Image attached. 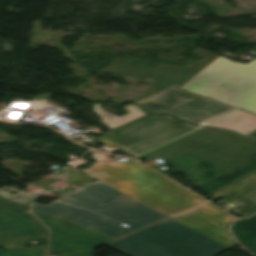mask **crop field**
Segmentation results:
<instances>
[{
  "label": "crop field",
  "instance_id": "obj_17",
  "mask_svg": "<svg viewBox=\"0 0 256 256\" xmlns=\"http://www.w3.org/2000/svg\"><path fill=\"white\" fill-rule=\"evenodd\" d=\"M93 250L90 252L68 254V255H56V256H92Z\"/></svg>",
  "mask_w": 256,
  "mask_h": 256
},
{
  "label": "crop field",
  "instance_id": "obj_2",
  "mask_svg": "<svg viewBox=\"0 0 256 256\" xmlns=\"http://www.w3.org/2000/svg\"><path fill=\"white\" fill-rule=\"evenodd\" d=\"M137 157L166 160L207 193L256 170V143L239 134L202 127Z\"/></svg>",
  "mask_w": 256,
  "mask_h": 256
},
{
  "label": "crop field",
  "instance_id": "obj_11",
  "mask_svg": "<svg viewBox=\"0 0 256 256\" xmlns=\"http://www.w3.org/2000/svg\"><path fill=\"white\" fill-rule=\"evenodd\" d=\"M223 198L228 202L238 205L229 212L239 216L240 218L249 216L256 212V182L251 183Z\"/></svg>",
  "mask_w": 256,
  "mask_h": 256
},
{
  "label": "crop field",
  "instance_id": "obj_20",
  "mask_svg": "<svg viewBox=\"0 0 256 256\" xmlns=\"http://www.w3.org/2000/svg\"><path fill=\"white\" fill-rule=\"evenodd\" d=\"M255 59H256V56H255Z\"/></svg>",
  "mask_w": 256,
  "mask_h": 256
},
{
  "label": "crop field",
  "instance_id": "obj_19",
  "mask_svg": "<svg viewBox=\"0 0 256 256\" xmlns=\"http://www.w3.org/2000/svg\"><path fill=\"white\" fill-rule=\"evenodd\" d=\"M205 202H206V201H205ZM205 202H204V203H205ZM197 207H199V206H197ZM195 208H196V207H195Z\"/></svg>",
  "mask_w": 256,
  "mask_h": 256
},
{
  "label": "crop field",
  "instance_id": "obj_1",
  "mask_svg": "<svg viewBox=\"0 0 256 256\" xmlns=\"http://www.w3.org/2000/svg\"><path fill=\"white\" fill-rule=\"evenodd\" d=\"M92 157L97 161L83 172L169 217L204 201L136 161L116 163L95 151ZM173 219L228 248L237 244L228 232L232 217L207 202Z\"/></svg>",
  "mask_w": 256,
  "mask_h": 256
},
{
  "label": "crop field",
  "instance_id": "obj_10",
  "mask_svg": "<svg viewBox=\"0 0 256 256\" xmlns=\"http://www.w3.org/2000/svg\"><path fill=\"white\" fill-rule=\"evenodd\" d=\"M46 233L23 206L0 198V240Z\"/></svg>",
  "mask_w": 256,
  "mask_h": 256
},
{
  "label": "crop field",
  "instance_id": "obj_14",
  "mask_svg": "<svg viewBox=\"0 0 256 256\" xmlns=\"http://www.w3.org/2000/svg\"><path fill=\"white\" fill-rule=\"evenodd\" d=\"M0 256H46V246L0 250Z\"/></svg>",
  "mask_w": 256,
  "mask_h": 256
},
{
  "label": "crop field",
  "instance_id": "obj_5",
  "mask_svg": "<svg viewBox=\"0 0 256 256\" xmlns=\"http://www.w3.org/2000/svg\"><path fill=\"white\" fill-rule=\"evenodd\" d=\"M134 104L147 113H171L193 124L230 129L241 134L256 127V116L173 87H166Z\"/></svg>",
  "mask_w": 256,
  "mask_h": 256
},
{
  "label": "crop field",
  "instance_id": "obj_7",
  "mask_svg": "<svg viewBox=\"0 0 256 256\" xmlns=\"http://www.w3.org/2000/svg\"><path fill=\"white\" fill-rule=\"evenodd\" d=\"M57 200L97 212L119 224L124 222L132 232L168 218L100 182L84 186Z\"/></svg>",
  "mask_w": 256,
  "mask_h": 256
},
{
  "label": "crop field",
  "instance_id": "obj_18",
  "mask_svg": "<svg viewBox=\"0 0 256 256\" xmlns=\"http://www.w3.org/2000/svg\"><path fill=\"white\" fill-rule=\"evenodd\" d=\"M244 135L249 137V138H251V139L256 140V129H254V130H252V131H250V132H248V133H246Z\"/></svg>",
  "mask_w": 256,
  "mask_h": 256
},
{
  "label": "crop field",
  "instance_id": "obj_8",
  "mask_svg": "<svg viewBox=\"0 0 256 256\" xmlns=\"http://www.w3.org/2000/svg\"><path fill=\"white\" fill-rule=\"evenodd\" d=\"M31 212L51 230L49 254L88 250L111 240L75 223Z\"/></svg>",
  "mask_w": 256,
  "mask_h": 256
},
{
  "label": "crop field",
  "instance_id": "obj_15",
  "mask_svg": "<svg viewBox=\"0 0 256 256\" xmlns=\"http://www.w3.org/2000/svg\"><path fill=\"white\" fill-rule=\"evenodd\" d=\"M3 193H6L5 195ZM39 195L33 194V193H29V192H25V191H20L18 193H16L15 195H10L9 192L0 190V197L14 201L16 203L19 204H25L27 202H30L32 200H34L36 197H38Z\"/></svg>",
  "mask_w": 256,
  "mask_h": 256
},
{
  "label": "crop field",
  "instance_id": "obj_12",
  "mask_svg": "<svg viewBox=\"0 0 256 256\" xmlns=\"http://www.w3.org/2000/svg\"><path fill=\"white\" fill-rule=\"evenodd\" d=\"M231 231L243 247L256 254V215L231 226Z\"/></svg>",
  "mask_w": 256,
  "mask_h": 256
},
{
  "label": "crop field",
  "instance_id": "obj_6",
  "mask_svg": "<svg viewBox=\"0 0 256 256\" xmlns=\"http://www.w3.org/2000/svg\"><path fill=\"white\" fill-rule=\"evenodd\" d=\"M190 229L169 218L107 245L129 256H216L228 249Z\"/></svg>",
  "mask_w": 256,
  "mask_h": 256
},
{
  "label": "crop field",
  "instance_id": "obj_9",
  "mask_svg": "<svg viewBox=\"0 0 256 256\" xmlns=\"http://www.w3.org/2000/svg\"><path fill=\"white\" fill-rule=\"evenodd\" d=\"M31 210L75 222L113 240L128 233L123 227L87 210L52 201L48 206L34 202Z\"/></svg>",
  "mask_w": 256,
  "mask_h": 256
},
{
  "label": "crop field",
  "instance_id": "obj_4",
  "mask_svg": "<svg viewBox=\"0 0 256 256\" xmlns=\"http://www.w3.org/2000/svg\"><path fill=\"white\" fill-rule=\"evenodd\" d=\"M95 113L101 118L102 124L109 132L98 138L100 144L122 148L138 154L158 146L198 126L183 122L171 115H149L143 113L138 106L129 104L124 108L129 114L118 117L93 104Z\"/></svg>",
  "mask_w": 256,
  "mask_h": 256
},
{
  "label": "crop field",
  "instance_id": "obj_16",
  "mask_svg": "<svg viewBox=\"0 0 256 256\" xmlns=\"http://www.w3.org/2000/svg\"><path fill=\"white\" fill-rule=\"evenodd\" d=\"M43 237H46V234L38 235V236L17 238V239L4 240V241H0V247H4L5 249L26 247L23 240L43 238Z\"/></svg>",
  "mask_w": 256,
  "mask_h": 256
},
{
  "label": "crop field",
  "instance_id": "obj_3",
  "mask_svg": "<svg viewBox=\"0 0 256 256\" xmlns=\"http://www.w3.org/2000/svg\"><path fill=\"white\" fill-rule=\"evenodd\" d=\"M191 52L203 59L187 66L160 64L147 69L115 59L99 72L118 76L155 77L158 81L224 102L256 114V60L233 62L195 48Z\"/></svg>",
  "mask_w": 256,
  "mask_h": 256
},
{
  "label": "crop field",
  "instance_id": "obj_13",
  "mask_svg": "<svg viewBox=\"0 0 256 256\" xmlns=\"http://www.w3.org/2000/svg\"><path fill=\"white\" fill-rule=\"evenodd\" d=\"M254 181H256V172H253L241 179H238V180L210 193L209 194L211 197L210 201L213 202L217 199H220L223 196H225V195H227V194H229V193H231V192H233L251 182H254Z\"/></svg>",
  "mask_w": 256,
  "mask_h": 256
}]
</instances>
